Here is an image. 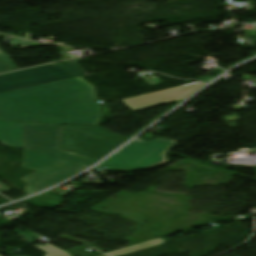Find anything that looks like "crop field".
I'll use <instances>...</instances> for the list:
<instances>
[{
    "label": "crop field",
    "instance_id": "8a807250",
    "mask_svg": "<svg viewBox=\"0 0 256 256\" xmlns=\"http://www.w3.org/2000/svg\"><path fill=\"white\" fill-rule=\"evenodd\" d=\"M0 120L97 125L101 108L82 77L0 94Z\"/></svg>",
    "mask_w": 256,
    "mask_h": 256
},
{
    "label": "crop field",
    "instance_id": "ac0d7876",
    "mask_svg": "<svg viewBox=\"0 0 256 256\" xmlns=\"http://www.w3.org/2000/svg\"><path fill=\"white\" fill-rule=\"evenodd\" d=\"M63 127L64 125H24V155L21 166L38 171L20 179L28 184L24 190L27 194L53 186L97 161L58 149Z\"/></svg>",
    "mask_w": 256,
    "mask_h": 256
},
{
    "label": "crop field",
    "instance_id": "34b2d1b8",
    "mask_svg": "<svg viewBox=\"0 0 256 256\" xmlns=\"http://www.w3.org/2000/svg\"><path fill=\"white\" fill-rule=\"evenodd\" d=\"M127 140L99 126L65 125L59 148L99 160Z\"/></svg>",
    "mask_w": 256,
    "mask_h": 256
},
{
    "label": "crop field",
    "instance_id": "412701ff",
    "mask_svg": "<svg viewBox=\"0 0 256 256\" xmlns=\"http://www.w3.org/2000/svg\"><path fill=\"white\" fill-rule=\"evenodd\" d=\"M175 143L165 139H155L149 142L136 139L98 167L144 169L165 162L164 154Z\"/></svg>",
    "mask_w": 256,
    "mask_h": 256
},
{
    "label": "crop field",
    "instance_id": "f4fd0767",
    "mask_svg": "<svg viewBox=\"0 0 256 256\" xmlns=\"http://www.w3.org/2000/svg\"><path fill=\"white\" fill-rule=\"evenodd\" d=\"M88 73L76 62L56 66L54 64L0 75V93L22 88L80 77Z\"/></svg>",
    "mask_w": 256,
    "mask_h": 256
},
{
    "label": "crop field",
    "instance_id": "dd49c442",
    "mask_svg": "<svg viewBox=\"0 0 256 256\" xmlns=\"http://www.w3.org/2000/svg\"><path fill=\"white\" fill-rule=\"evenodd\" d=\"M201 83L195 82L163 91L136 96L122 100L133 111L149 108L152 106L182 100L200 89Z\"/></svg>",
    "mask_w": 256,
    "mask_h": 256
},
{
    "label": "crop field",
    "instance_id": "e52e79f7",
    "mask_svg": "<svg viewBox=\"0 0 256 256\" xmlns=\"http://www.w3.org/2000/svg\"><path fill=\"white\" fill-rule=\"evenodd\" d=\"M0 143L12 148H23V124L0 122Z\"/></svg>",
    "mask_w": 256,
    "mask_h": 256
},
{
    "label": "crop field",
    "instance_id": "d8731c3e",
    "mask_svg": "<svg viewBox=\"0 0 256 256\" xmlns=\"http://www.w3.org/2000/svg\"><path fill=\"white\" fill-rule=\"evenodd\" d=\"M16 67L9 58L7 53H3L0 49V73L15 70Z\"/></svg>",
    "mask_w": 256,
    "mask_h": 256
},
{
    "label": "crop field",
    "instance_id": "5a996713",
    "mask_svg": "<svg viewBox=\"0 0 256 256\" xmlns=\"http://www.w3.org/2000/svg\"><path fill=\"white\" fill-rule=\"evenodd\" d=\"M87 246L81 245L73 248L66 249L64 251L68 252L71 256H94L97 254H101L99 252L91 253L90 251L86 250Z\"/></svg>",
    "mask_w": 256,
    "mask_h": 256
},
{
    "label": "crop field",
    "instance_id": "3316defc",
    "mask_svg": "<svg viewBox=\"0 0 256 256\" xmlns=\"http://www.w3.org/2000/svg\"><path fill=\"white\" fill-rule=\"evenodd\" d=\"M102 256H105V255H102Z\"/></svg>",
    "mask_w": 256,
    "mask_h": 256
}]
</instances>
